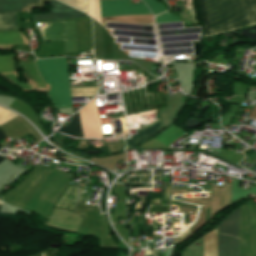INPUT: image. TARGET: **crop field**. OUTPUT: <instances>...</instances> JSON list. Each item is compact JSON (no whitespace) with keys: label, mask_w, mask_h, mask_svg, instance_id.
<instances>
[{"label":"crop field","mask_w":256,"mask_h":256,"mask_svg":"<svg viewBox=\"0 0 256 256\" xmlns=\"http://www.w3.org/2000/svg\"><path fill=\"white\" fill-rule=\"evenodd\" d=\"M25 76L26 78L35 82L37 87H45L40 76L37 73L34 62H29V64H24Z\"/></svg>","instance_id":"5a996713"},{"label":"crop field","mask_w":256,"mask_h":256,"mask_svg":"<svg viewBox=\"0 0 256 256\" xmlns=\"http://www.w3.org/2000/svg\"><path fill=\"white\" fill-rule=\"evenodd\" d=\"M218 255L240 256L238 242V208L218 225Z\"/></svg>","instance_id":"34b2d1b8"},{"label":"crop field","mask_w":256,"mask_h":256,"mask_svg":"<svg viewBox=\"0 0 256 256\" xmlns=\"http://www.w3.org/2000/svg\"><path fill=\"white\" fill-rule=\"evenodd\" d=\"M205 35L256 24V0H199Z\"/></svg>","instance_id":"8a807250"},{"label":"crop field","mask_w":256,"mask_h":256,"mask_svg":"<svg viewBox=\"0 0 256 256\" xmlns=\"http://www.w3.org/2000/svg\"><path fill=\"white\" fill-rule=\"evenodd\" d=\"M0 206H1V202H0Z\"/></svg>","instance_id":"5142ce71"},{"label":"crop field","mask_w":256,"mask_h":256,"mask_svg":"<svg viewBox=\"0 0 256 256\" xmlns=\"http://www.w3.org/2000/svg\"><path fill=\"white\" fill-rule=\"evenodd\" d=\"M4 72H15L13 55H0V73ZM3 76L24 90H31L28 85L18 82L13 74Z\"/></svg>","instance_id":"f4fd0767"},{"label":"crop field","mask_w":256,"mask_h":256,"mask_svg":"<svg viewBox=\"0 0 256 256\" xmlns=\"http://www.w3.org/2000/svg\"><path fill=\"white\" fill-rule=\"evenodd\" d=\"M175 21H180V20L176 16L170 14L169 11L157 16L155 19L156 23L175 22Z\"/></svg>","instance_id":"d1516ede"},{"label":"crop field","mask_w":256,"mask_h":256,"mask_svg":"<svg viewBox=\"0 0 256 256\" xmlns=\"http://www.w3.org/2000/svg\"><path fill=\"white\" fill-rule=\"evenodd\" d=\"M161 130L160 121L156 122L155 124L151 125L150 127L146 128L145 130L141 131L140 133L136 134L135 136L131 137V139H125L126 146L131 147L146 138L150 137L157 131Z\"/></svg>","instance_id":"dd49c442"},{"label":"crop field","mask_w":256,"mask_h":256,"mask_svg":"<svg viewBox=\"0 0 256 256\" xmlns=\"http://www.w3.org/2000/svg\"><path fill=\"white\" fill-rule=\"evenodd\" d=\"M17 31L16 12L0 13V32Z\"/></svg>","instance_id":"e52e79f7"},{"label":"crop field","mask_w":256,"mask_h":256,"mask_svg":"<svg viewBox=\"0 0 256 256\" xmlns=\"http://www.w3.org/2000/svg\"><path fill=\"white\" fill-rule=\"evenodd\" d=\"M17 43H23L18 32L0 33V45Z\"/></svg>","instance_id":"3316defc"},{"label":"crop field","mask_w":256,"mask_h":256,"mask_svg":"<svg viewBox=\"0 0 256 256\" xmlns=\"http://www.w3.org/2000/svg\"><path fill=\"white\" fill-rule=\"evenodd\" d=\"M101 17L114 15H142L151 14L144 5H128L127 0L100 1Z\"/></svg>","instance_id":"412701ff"},{"label":"crop field","mask_w":256,"mask_h":256,"mask_svg":"<svg viewBox=\"0 0 256 256\" xmlns=\"http://www.w3.org/2000/svg\"><path fill=\"white\" fill-rule=\"evenodd\" d=\"M35 62L45 84H51L48 97L55 109L72 107L65 58Z\"/></svg>","instance_id":"ac0d7876"},{"label":"crop field","mask_w":256,"mask_h":256,"mask_svg":"<svg viewBox=\"0 0 256 256\" xmlns=\"http://www.w3.org/2000/svg\"><path fill=\"white\" fill-rule=\"evenodd\" d=\"M6 138V136L0 131V140Z\"/></svg>","instance_id":"22f410ed"},{"label":"crop field","mask_w":256,"mask_h":256,"mask_svg":"<svg viewBox=\"0 0 256 256\" xmlns=\"http://www.w3.org/2000/svg\"><path fill=\"white\" fill-rule=\"evenodd\" d=\"M5 158L0 157V162L3 161Z\"/></svg>","instance_id":"cbeb9de0"},{"label":"crop field","mask_w":256,"mask_h":256,"mask_svg":"<svg viewBox=\"0 0 256 256\" xmlns=\"http://www.w3.org/2000/svg\"><path fill=\"white\" fill-rule=\"evenodd\" d=\"M58 131L75 137H83L79 114H75L74 118L71 120L67 127H60Z\"/></svg>","instance_id":"d8731c3e"},{"label":"crop field","mask_w":256,"mask_h":256,"mask_svg":"<svg viewBox=\"0 0 256 256\" xmlns=\"http://www.w3.org/2000/svg\"><path fill=\"white\" fill-rule=\"evenodd\" d=\"M143 1L147 4V6L149 7L153 15H156L166 10L160 3H157L154 0H143Z\"/></svg>","instance_id":"28ad6ade"}]
</instances>
